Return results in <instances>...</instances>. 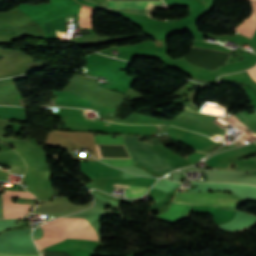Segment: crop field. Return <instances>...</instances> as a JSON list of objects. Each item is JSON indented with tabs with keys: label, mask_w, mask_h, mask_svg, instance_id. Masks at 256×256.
Returning a JSON list of instances; mask_svg holds the SVG:
<instances>
[{
	"label": "crop field",
	"mask_w": 256,
	"mask_h": 256,
	"mask_svg": "<svg viewBox=\"0 0 256 256\" xmlns=\"http://www.w3.org/2000/svg\"><path fill=\"white\" fill-rule=\"evenodd\" d=\"M61 219L68 238L98 241L94 228L86 220L82 218ZM61 219L41 225L44 232L43 238L35 240L39 250L67 238Z\"/></svg>",
	"instance_id": "crop-field-1"
},
{
	"label": "crop field",
	"mask_w": 256,
	"mask_h": 256,
	"mask_svg": "<svg viewBox=\"0 0 256 256\" xmlns=\"http://www.w3.org/2000/svg\"><path fill=\"white\" fill-rule=\"evenodd\" d=\"M126 145L136 162L147 166L161 174L170 171L164 158L157 153L147 142L137 141L141 136L123 135Z\"/></svg>",
	"instance_id": "crop-field-2"
},
{
	"label": "crop field",
	"mask_w": 256,
	"mask_h": 256,
	"mask_svg": "<svg viewBox=\"0 0 256 256\" xmlns=\"http://www.w3.org/2000/svg\"><path fill=\"white\" fill-rule=\"evenodd\" d=\"M174 201L204 205L240 206L243 202L233 194L218 192L186 193L177 192Z\"/></svg>",
	"instance_id": "crop-field-3"
},
{
	"label": "crop field",
	"mask_w": 256,
	"mask_h": 256,
	"mask_svg": "<svg viewBox=\"0 0 256 256\" xmlns=\"http://www.w3.org/2000/svg\"><path fill=\"white\" fill-rule=\"evenodd\" d=\"M79 27L93 28L92 16L97 7L77 6ZM47 38L65 37V15L40 24Z\"/></svg>",
	"instance_id": "crop-field-4"
},
{
	"label": "crop field",
	"mask_w": 256,
	"mask_h": 256,
	"mask_svg": "<svg viewBox=\"0 0 256 256\" xmlns=\"http://www.w3.org/2000/svg\"><path fill=\"white\" fill-rule=\"evenodd\" d=\"M12 197L35 199L29 192L6 190L3 193L4 218L26 216L30 204L12 203Z\"/></svg>",
	"instance_id": "crop-field-5"
},
{
	"label": "crop field",
	"mask_w": 256,
	"mask_h": 256,
	"mask_svg": "<svg viewBox=\"0 0 256 256\" xmlns=\"http://www.w3.org/2000/svg\"><path fill=\"white\" fill-rule=\"evenodd\" d=\"M148 1H109L108 8L128 13H137L145 15V5ZM161 2V1H155ZM148 2L146 8V14L149 15L151 9L161 8V3Z\"/></svg>",
	"instance_id": "crop-field-6"
},
{
	"label": "crop field",
	"mask_w": 256,
	"mask_h": 256,
	"mask_svg": "<svg viewBox=\"0 0 256 256\" xmlns=\"http://www.w3.org/2000/svg\"><path fill=\"white\" fill-rule=\"evenodd\" d=\"M82 173L88 178L91 177H108L122 178L123 171L111 168L100 161L81 162Z\"/></svg>",
	"instance_id": "crop-field-7"
},
{
	"label": "crop field",
	"mask_w": 256,
	"mask_h": 256,
	"mask_svg": "<svg viewBox=\"0 0 256 256\" xmlns=\"http://www.w3.org/2000/svg\"><path fill=\"white\" fill-rule=\"evenodd\" d=\"M94 139L96 144H124L125 145V142L122 136L96 135L94 136ZM99 160L107 164H110L112 166L136 165L133 158L132 159H99Z\"/></svg>",
	"instance_id": "crop-field-8"
},
{
	"label": "crop field",
	"mask_w": 256,
	"mask_h": 256,
	"mask_svg": "<svg viewBox=\"0 0 256 256\" xmlns=\"http://www.w3.org/2000/svg\"><path fill=\"white\" fill-rule=\"evenodd\" d=\"M191 205L173 202L171 207L164 213L156 215V218L176 222L186 216Z\"/></svg>",
	"instance_id": "crop-field-9"
},
{
	"label": "crop field",
	"mask_w": 256,
	"mask_h": 256,
	"mask_svg": "<svg viewBox=\"0 0 256 256\" xmlns=\"http://www.w3.org/2000/svg\"><path fill=\"white\" fill-rule=\"evenodd\" d=\"M6 118L18 119L27 122L24 108L0 106V119Z\"/></svg>",
	"instance_id": "crop-field-10"
},
{
	"label": "crop field",
	"mask_w": 256,
	"mask_h": 256,
	"mask_svg": "<svg viewBox=\"0 0 256 256\" xmlns=\"http://www.w3.org/2000/svg\"><path fill=\"white\" fill-rule=\"evenodd\" d=\"M119 184V183H115ZM120 185H127V192L126 195L132 196V197H139L147 191L149 187L146 186H137V185H128V184H120ZM120 185H113V186H120ZM126 187V186H122Z\"/></svg>",
	"instance_id": "crop-field-11"
},
{
	"label": "crop field",
	"mask_w": 256,
	"mask_h": 256,
	"mask_svg": "<svg viewBox=\"0 0 256 256\" xmlns=\"http://www.w3.org/2000/svg\"><path fill=\"white\" fill-rule=\"evenodd\" d=\"M0 256H39L38 254H14V253H1Z\"/></svg>",
	"instance_id": "crop-field-12"
},
{
	"label": "crop field",
	"mask_w": 256,
	"mask_h": 256,
	"mask_svg": "<svg viewBox=\"0 0 256 256\" xmlns=\"http://www.w3.org/2000/svg\"><path fill=\"white\" fill-rule=\"evenodd\" d=\"M87 1L94 2L98 5H100L101 7H103L104 9L107 8V4H108L107 0H87Z\"/></svg>",
	"instance_id": "crop-field-13"
},
{
	"label": "crop field",
	"mask_w": 256,
	"mask_h": 256,
	"mask_svg": "<svg viewBox=\"0 0 256 256\" xmlns=\"http://www.w3.org/2000/svg\"><path fill=\"white\" fill-rule=\"evenodd\" d=\"M248 72H249L250 76L253 78V80L256 81V67L249 69Z\"/></svg>",
	"instance_id": "crop-field-14"
},
{
	"label": "crop field",
	"mask_w": 256,
	"mask_h": 256,
	"mask_svg": "<svg viewBox=\"0 0 256 256\" xmlns=\"http://www.w3.org/2000/svg\"><path fill=\"white\" fill-rule=\"evenodd\" d=\"M0 174H3V175L8 176L9 173H7V172H5V171H3V170H0Z\"/></svg>",
	"instance_id": "crop-field-15"
},
{
	"label": "crop field",
	"mask_w": 256,
	"mask_h": 256,
	"mask_svg": "<svg viewBox=\"0 0 256 256\" xmlns=\"http://www.w3.org/2000/svg\"><path fill=\"white\" fill-rule=\"evenodd\" d=\"M23 187H25L24 185H22Z\"/></svg>",
	"instance_id": "crop-field-16"
}]
</instances>
